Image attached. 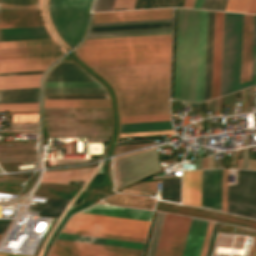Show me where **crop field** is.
Instances as JSON below:
<instances>
[{"instance_id":"obj_1","label":"crop field","mask_w":256,"mask_h":256,"mask_svg":"<svg viewBox=\"0 0 256 256\" xmlns=\"http://www.w3.org/2000/svg\"><path fill=\"white\" fill-rule=\"evenodd\" d=\"M93 69L115 90L121 116L169 113L170 64Z\"/></svg>"},{"instance_id":"obj_17","label":"crop field","mask_w":256,"mask_h":256,"mask_svg":"<svg viewBox=\"0 0 256 256\" xmlns=\"http://www.w3.org/2000/svg\"><path fill=\"white\" fill-rule=\"evenodd\" d=\"M49 38L44 27L0 30V42Z\"/></svg>"},{"instance_id":"obj_5","label":"crop field","mask_w":256,"mask_h":256,"mask_svg":"<svg viewBox=\"0 0 256 256\" xmlns=\"http://www.w3.org/2000/svg\"><path fill=\"white\" fill-rule=\"evenodd\" d=\"M92 0H49V14L61 39L71 48L82 37Z\"/></svg>"},{"instance_id":"obj_13","label":"crop field","mask_w":256,"mask_h":256,"mask_svg":"<svg viewBox=\"0 0 256 256\" xmlns=\"http://www.w3.org/2000/svg\"><path fill=\"white\" fill-rule=\"evenodd\" d=\"M253 15L244 14L241 82L250 79ZM250 80L240 84V89L249 87Z\"/></svg>"},{"instance_id":"obj_19","label":"crop field","mask_w":256,"mask_h":256,"mask_svg":"<svg viewBox=\"0 0 256 256\" xmlns=\"http://www.w3.org/2000/svg\"><path fill=\"white\" fill-rule=\"evenodd\" d=\"M57 58L0 63V73L46 70Z\"/></svg>"},{"instance_id":"obj_2","label":"crop field","mask_w":256,"mask_h":256,"mask_svg":"<svg viewBox=\"0 0 256 256\" xmlns=\"http://www.w3.org/2000/svg\"><path fill=\"white\" fill-rule=\"evenodd\" d=\"M207 11L178 9L173 99L203 101Z\"/></svg>"},{"instance_id":"obj_29","label":"crop field","mask_w":256,"mask_h":256,"mask_svg":"<svg viewBox=\"0 0 256 256\" xmlns=\"http://www.w3.org/2000/svg\"><path fill=\"white\" fill-rule=\"evenodd\" d=\"M61 55H62V51L17 54V55H4V56H0V62L15 61V60H27V59L52 58V57H59Z\"/></svg>"},{"instance_id":"obj_3","label":"crop field","mask_w":256,"mask_h":256,"mask_svg":"<svg viewBox=\"0 0 256 256\" xmlns=\"http://www.w3.org/2000/svg\"><path fill=\"white\" fill-rule=\"evenodd\" d=\"M171 42L172 35L86 40L75 54L91 67L170 63Z\"/></svg>"},{"instance_id":"obj_18","label":"crop field","mask_w":256,"mask_h":256,"mask_svg":"<svg viewBox=\"0 0 256 256\" xmlns=\"http://www.w3.org/2000/svg\"><path fill=\"white\" fill-rule=\"evenodd\" d=\"M39 87L0 90V103L38 102Z\"/></svg>"},{"instance_id":"obj_55","label":"crop field","mask_w":256,"mask_h":256,"mask_svg":"<svg viewBox=\"0 0 256 256\" xmlns=\"http://www.w3.org/2000/svg\"><path fill=\"white\" fill-rule=\"evenodd\" d=\"M192 106L195 107V108H197V109H199L198 104H193V103H192Z\"/></svg>"},{"instance_id":"obj_41","label":"crop field","mask_w":256,"mask_h":256,"mask_svg":"<svg viewBox=\"0 0 256 256\" xmlns=\"http://www.w3.org/2000/svg\"><path fill=\"white\" fill-rule=\"evenodd\" d=\"M255 59H256V15H254V27H253V51H252V75L251 86L254 85L255 76Z\"/></svg>"},{"instance_id":"obj_47","label":"crop field","mask_w":256,"mask_h":256,"mask_svg":"<svg viewBox=\"0 0 256 256\" xmlns=\"http://www.w3.org/2000/svg\"><path fill=\"white\" fill-rule=\"evenodd\" d=\"M212 224H213V222L209 221L208 227H207V231H206V235H205V239H204V243H203V248H202L201 256H205V252H206V248H207V244H208V240H209Z\"/></svg>"},{"instance_id":"obj_22","label":"crop field","mask_w":256,"mask_h":256,"mask_svg":"<svg viewBox=\"0 0 256 256\" xmlns=\"http://www.w3.org/2000/svg\"><path fill=\"white\" fill-rule=\"evenodd\" d=\"M45 107H110L109 99L45 100Z\"/></svg>"},{"instance_id":"obj_23","label":"crop field","mask_w":256,"mask_h":256,"mask_svg":"<svg viewBox=\"0 0 256 256\" xmlns=\"http://www.w3.org/2000/svg\"><path fill=\"white\" fill-rule=\"evenodd\" d=\"M42 74L0 77V89L39 86Z\"/></svg>"},{"instance_id":"obj_54","label":"crop field","mask_w":256,"mask_h":256,"mask_svg":"<svg viewBox=\"0 0 256 256\" xmlns=\"http://www.w3.org/2000/svg\"><path fill=\"white\" fill-rule=\"evenodd\" d=\"M17 104H38V103H17ZM0 105H16V104H0Z\"/></svg>"},{"instance_id":"obj_51","label":"crop field","mask_w":256,"mask_h":256,"mask_svg":"<svg viewBox=\"0 0 256 256\" xmlns=\"http://www.w3.org/2000/svg\"><path fill=\"white\" fill-rule=\"evenodd\" d=\"M203 1H204V0H195L194 7H193V8L201 9V8H202V5H203Z\"/></svg>"},{"instance_id":"obj_50","label":"crop field","mask_w":256,"mask_h":256,"mask_svg":"<svg viewBox=\"0 0 256 256\" xmlns=\"http://www.w3.org/2000/svg\"><path fill=\"white\" fill-rule=\"evenodd\" d=\"M194 0H184L182 7L192 8L193 7Z\"/></svg>"},{"instance_id":"obj_9","label":"crop field","mask_w":256,"mask_h":256,"mask_svg":"<svg viewBox=\"0 0 256 256\" xmlns=\"http://www.w3.org/2000/svg\"><path fill=\"white\" fill-rule=\"evenodd\" d=\"M190 219L166 214L156 256H181Z\"/></svg>"},{"instance_id":"obj_59","label":"crop field","mask_w":256,"mask_h":256,"mask_svg":"<svg viewBox=\"0 0 256 256\" xmlns=\"http://www.w3.org/2000/svg\"><path fill=\"white\" fill-rule=\"evenodd\" d=\"M2 236V234H0V237Z\"/></svg>"},{"instance_id":"obj_49","label":"crop field","mask_w":256,"mask_h":256,"mask_svg":"<svg viewBox=\"0 0 256 256\" xmlns=\"http://www.w3.org/2000/svg\"><path fill=\"white\" fill-rule=\"evenodd\" d=\"M35 73H43V71H37V72H21V73H5V74H0V76H4V75H19V74H35Z\"/></svg>"},{"instance_id":"obj_24","label":"crop field","mask_w":256,"mask_h":256,"mask_svg":"<svg viewBox=\"0 0 256 256\" xmlns=\"http://www.w3.org/2000/svg\"><path fill=\"white\" fill-rule=\"evenodd\" d=\"M54 245L73 247V248H81V249H89V250H97V251H105V252H113V253H121V254H129V255H137V256H141V253H142V251H139V250L99 246V245H92V244L60 241V240H56Z\"/></svg>"},{"instance_id":"obj_30","label":"crop field","mask_w":256,"mask_h":256,"mask_svg":"<svg viewBox=\"0 0 256 256\" xmlns=\"http://www.w3.org/2000/svg\"><path fill=\"white\" fill-rule=\"evenodd\" d=\"M107 93L104 88H45V94Z\"/></svg>"},{"instance_id":"obj_48","label":"crop field","mask_w":256,"mask_h":256,"mask_svg":"<svg viewBox=\"0 0 256 256\" xmlns=\"http://www.w3.org/2000/svg\"><path fill=\"white\" fill-rule=\"evenodd\" d=\"M247 13H256V0H251Z\"/></svg>"},{"instance_id":"obj_46","label":"crop field","mask_w":256,"mask_h":256,"mask_svg":"<svg viewBox=\"0 0 256 256\" xmlns=\"http://www.w3.org/2000/svg\"><path fill=\"white\" fill-rule=\"evenodd\" d=\"M108 98L107 96H45V99Z\"/></svg>"},{"instance_id":"obj_52","label":"crop field","mask_w":256,"mask_h":256,"mask_svg":"<svg viewBox=\"0 0 256 256\" xmlns=\"http://www.w3.org/2000/svg\"><path fill=\"white\" fill-rule=\"evenodd\" d=\"M0 256H25V255H16V254L0 253Z\"/></svg>"},{"instance_id":"obj_31","label":"crop field","mask_w":256,"mask_h":256,"mask_svg":"<svg viewBox=\"0 0 256 256\" xmlns=\"http://www.w3.org/2000/svg\"><path fill=\"white\" fill-rule=\"evenodd\" d=\"M37 8V0H1L0 10Z\"/></svg>"},{"instance_id":"obj_8","label":"crop field","mask_w":256,"mask_h":256,"mask_svg":"<svg viewBox=\"0 0 256 256\" xmlns=\"http://www.w3.org/2000/svg\"><path fill=\"white\" fill-rule=\"evenodd\" d=\"M164 22H172V19L100 23V24H93L92 27L132 25V24H148V23H164ZM164 27H172V23L132 25V26H116V27H100V28H92L91 32L114 31V30H131V29H148V28H164ZM164 34H172V28L90 33L88 39L112 38V37H129V36H147V35H164Z\"/></svg>"},{"instance_id":"obj_7","label":"crop field","mask_w":256,"mask_h":256,"mask_svg":"<svg viewBox=\"0 0 256 256\" xmlns=\"http://www.w3.org/2000/svg\"><path fill=\"white\" fill-rule=\"evenodd\" d=\"M148 224L146 221L77 213L64 228L145 238Z\"/></svg>"},{"instance_id":"obj_43","label":"crop field","mask_w":256,"mask_h":256,"mask_svg":"<svg viewBox=\"0 0 256 256\" xmlns=\"http://www.w3.org/2000/svg\"><path fill=\"white\" fill-rule=\"evenodd\" d=\"M37 122V114L13 115L12 123Z\"/></svg>"},{"instance_id":"obj_42","label":"crop field","mask_w":256,"mask_h":256,"mask_svg":"<svg viewBox=\"0 0 256 256\" xmlns=\"http://www.w3.org/2000/svg\"><path fill=\"white\" fill-rule=\"evenodd\" d=\"M38 110V105L0 106V111Z\"/></svg>"},{"instance_id":"obj_21","label":"crop field","mask_w":256,"mask_h":256,"mask_svg":"<svg viewBox=\"0 0 256 256\" xmlns=\"http://www.w3.org/2000/svg\"><path fill=\"white\" fill-rule=\"evenodd\" d=\"M214 12L208 11L204 101L210 99Z\"/></svg>"},{"instance_id":"obj_58","label":"crop field","mask_w":256,"mask_h":256,"mask_svg":"<svg viewBox=\"0 0 256 256\" xmlns=\"http://www.w3.org/2000/svg\"><path fill=\"white\" fill-rule=\"evenodd\" d=\"M255 84H256V76H255Z\"/></svg>"},{"instance_id":"obj_10","label":"crop field","mask_w":256,"mask_h":256,"mask_svg":"<svg viewBox=\"0 0 256 256\" xmlns=\"http://www.w3.org/2000/svg\"><path fill=\"white\" fill-rule=\"evenodd\" d=\"M173 9L95 13L93 23L172 18Z\"/></svg>"},{"instance_id":"obj_34","label":"crop field","mask_w":256,"mask_h":256,"mask_svg":"<svg viewBox=\"0 0 256 256\" xmlns=\"http://www.w3.org/2000/svg\"><path fill=\"white\" fill-rule=\"evenodd\" d=\"M114 0H97L94 11L111 10ZM133 0H115L112 8H131Z\"/></svg>"},{"instance_id":"obj_56","label":"crop field","mask_w":256,"mask_h":256,"mask_svg":"<svg viewBox=\"0 0 256 256\" xmlns=\"http://www.w3.org/2000/svg\"><path fill=\"white\" fill-rule=\"evenodd\" d=\"M240 166H241V160L239 159L238 160V168H240Z\"/></svg>"},{"instance_id":"obj_32","label":"crop field","mask_w":256,"mask_h":256,"mask_svg":"<svg viewBox=\"0 0 256 256\" xmlns=\"http://www.w3.org/2000/svg\"><path fill=\"white\" fill-rule=\"evenodd\" d=\"M49 45H55L54 42L51 39L18 41V42H5V43H0V49L20 48V47H34V46H49Z\"/></svg>"},{"instance_id":"obj_6","label":"crop field","mask_w":256,"mask_h":256,"mask_svg":"<svg viewBox=\"0 0 256 256\" xmlns=\"http://www.w3.org/2000/svg\"><path fill=\"white\" fill-rule=\"evenodd\" d=\"M201 170L183 172L182 202L200 207ZM222 169L202 170L201 207L221 211Z\"/></svg>"},{"instance_id":"obj_53","label":"crop field","mask_w":256,"mask_h":256,"mask_svg":"<svg viewBox=\"0 0 256 256\" xmlns=\"http://www.w3.org/2000/svg\"><path fill=\"white\" fill-rule=\"evenodd\" d=\"M202 168H207V157L203 159Z\"/></svg>"},{"instance_id":"obj_14","label":"crop field","mask_w":256,"mask_h":256,"mask_svg":"<svg viewBox=\"0 0 256 256\" xmlns=\"http://www.w3.org/2000/svg\"><path fill=\"white\" fill-rule=\"evenodd\" d=\"M208 221L191 219L182 256H200Z\"/></svg>"},{"instance_id":"obj_60","label":"crop field","mask_w":256,"mask_h":256,"mask_svg":"<svg viewBox=\"0 0 256 256\" xmlns=\"http://www.w3.org/2000/svg\"><path fill=\"white\" fill-rule=\"evenodd\" d=\"M0 172H2V171L0 170Z\"/></svg>"},{"instance_id":"obj_33","label":"crop field","mask_w":256,"mask_h":256,"mask_svg":"<svg viewBox=\"0 0 256 256\" xmlns=\"http://www.w3.org/2000/svg\"><path fill=\"white\" fill-rule=\"evenodd\" d=\"M164 216H165L164 213L158 212V214H157V218H156V222H155V226H154V230H153V234H152V238H151L147 256H155V252H156Z\"/></svg>"},{"instance_id":"obj_20","label":"crop field","mask_w":256,"mask_h":256,"mask_svg":"<svg viewBox=\"0 0 256 256\" xmlns=\"http://www.w3.org/2000/svg\"><path fill=\"white\" fill-rule=\"evenodd\" d=\"M58 239L92 243V244H100V245H107V246H115V247H123V248H131V249H139V250H142L144 245L141 243L125 242V241L102 239V238L64 234V233H60Z\"/></svg>"},{"instance_id":"obj_39","label":"crop field","mask_w":256,"mask_h":256,"mask_svg":"<svg viewBox=\"0 0 256 256\" xmlns=\"http://www.w3.org/2000/svg\"><path fill=\"white\" fill-rule=\"evenodd\" d=\"M250 0H228L225 11L247 12Z\"/></svg>"},{"instance_id":"obj_36","label":"crop field","mask_w":256,"mask_h":256,"mask_svg":"<svg viewBox=\"0 0 256 256\" xmlns=\"http://www.w3.org/2000/svg\"><path fill=\"white\" fill-rule=\"evenodd\" d=\"M170 120L169 114L121 117V123Z\"/></svg>"},{"instance_id":"obj_26","label":"crop field","mask_w":256,"mask_h":256,"mask_svg":"<svg viewBox=\"0 0 256 256\" xmlns=\"http://www.w3.org/2000/svg\"><path fill=\"white\" fill-rule=\"evenodd\" d=\"M172 129L170 121L121 124L120 132Z\"/></svg>"},{"instance_id":"obj_40","label":"crop field","mask_w":256,"mask_h":256,"mask_svg":"<svg viewBox=\"0 0 256 256\" xmlns=\"http://www.w3.org/2000/svg\"><path fill=\"white\" fill-rule=\"evenodd\" d=\"M227 0H205L202 9L224 11Z\"/></svg>"},{"instance_id":"obj_4","label":"crop field","mask_w":256,"mask_h":256,"mask_svg":"<svg viewBox=\"0 0 256 256\" xmlns=\"http://www.w3.org/2000/svg\"><path fill=\"white\" fill-rule=\"evenodd\" d=\"M243 14L224 13L220 96L239 89Z\"/></svg>"},{"instance_id":"obj_28","label":"crop field","mask_w":256,"mask_h":256,"mask_svg":"<svg viewBox=\"0 0 256 256\" xmlns=\"http://www.w3.org/2000/svg\"><path fill=\"white\" fill-rule=\"evenodd\" d=\"M161 199L180 203V179L162 181Z\"/></svg>"},{"instance_id":"obj_16","label":"crop field","mask_w":256,"mask_h":256,"mask_svg":"<svg viewBox=\"0 0 256 256\" xmlns=\"http://www.w3.org/2000/svg\"><path fill=\"white\" fill-rule=\"evenodd\" d=\"M95 167L44 172L41 181L68 184L70 181H86Z\"/></svg>"},{"instance_id":"obj_15","label":"crop field","mask_w":256,"mask_h":256,"mask_svg":"<svg viewBox=\"0 0 256 256\" xmlns=\"http://www.w3.org/2000/svg\"><path fill=\"white\" fill-rule=\"evenodd\" d=\"M82 213H90V214H98V215L149 221L152 211L94 205L82 211Z\"/></svg>"},{"instance_id":"obj_35","label":"crop field","mask_w":256,"mask_h":256,"mask_svg":"<svg viewBox=\"0 0 256 256\" xmlns=\"http://www.w3.org/2000/svg\"><path fill=\"white\" fill-rule=\"evenodd\" d=\"M62 232L72 233V234H80V235H87V236L110 238V239H118V240H125V241L141 242V243H144V241H145V239H141V238L116 236V235H108V234H100V233H92V232H83V231H75V230H67V229H63Z\"/></svg>"},{"instance_id":"obj_44","label":"crop field","mask_w":256,"mask_h":256,"mask_svg":"<svg viewBox=\"0 0 256 256\" xmlns=\"http://www.w3.org/2000/svg\"><path fill=\"white\" fill-rule=\"evenodd\" d=\"M227 169H223L222 211L226 212Z\"/></svg>"},{"instance_id":"obj_38","label":"crop field","mask_w":256,"mask_h":256,"mask_svg":"<svg viewBox=\"0 0 256 256\" xmlns=\"http://www.w3.org/2000/svg\"><path fill=\"white\" fill-rule=\"evenodd\" d=\"M60 50L57 46L0 50V55Z\"/></svg>"},{"instance_id":"obj_37","label":"crop field","mask_w":256,"mask_h":256,"mask_svg":"<svg viewBox=\"0 0 256 256\" xmlns=\"http://www.w3.org/2000/svg\"><path fill=\"white\" fill-rule=\"evenodd\" d=\"M45 87H102L98 82H45Z\"/></svg>"},{"instance_id":"obj_11","label":"crop field","mask_w":256,"mask_h":256,"mask_svg":"<svg viewBox=\"0 0 256 256\" xmlns=\"http://www.w3.org/2000/svg\"><path fill=\"white\" fill-rule=\"evenodd\" d=\"M43 26L37 9L0 11V29Z\"/></svg>"},{"instance_id":"obj_12","label":"crop field","mask_w":256,"mask_h":256,"mask_svg":"<svg viewBox=\"0 0 256 256\" xmlns=\"http://www.w3.org/2000/svg\"><path fill=\"white\" fill-rule=\"evenodd\" d=\"M223 13L215 12L211 99L219 96Z\"/></svg>"},{"instance_id":"obj_27","label":"crop field","mask_w":256,"mask_h":256,"mask_svg":"<svg viewBox=\"0 0 256 256\" xmlns=\"http://www.w3.org/2000/svg\"><path fill=\"white\" fill-rule=\"evenodd\" d=\"M69 202L70 201L53 200L48 198L43 208L31 206L30 209L42 210L39 216L58 218Z\"/></svg>"},{"instance_id":"obj_25","label":"crop field","mask_w":256,"mask_h":256,"mask_svg":"<svg viewBox=\"0 0 256 256\" xmlns=\"http://www.w3.org/2000/svg\"><path fill=\"white\" fill-rule=\"evenodd\" d=\"M48 256H129L53 246Z\"/></svg>"},{"instance_id":"obj_57","label":"crop field","mask_w":256,"mask_h":256,"mask_svg":"<svg viewBox=\"0 0 256 256\" xmlns=\"http://www.w3.org/2000/svg\"><path fill=\"white\" fill-rule=\"evenodd\" d=\"M254 256H256V249H255V252H254Z\"/></svg>"},{"instance_id":"obj_45","label":"crop field","mask_w":256,"mask_h":256,"mask_svg":"<svg viewBox=\"0 0 256 256\" xmlns=\"http://www.w3.org/2000/svg\"><path fill=\"white\" fill-rule=\"evenodd\" d=\"M153 144H157V143L117 146L115 154L116 153H120V152H124V151H128V150H133V149L141 148V147H144V146H147V145H153Z\"/></svg>"}]
</instances>
